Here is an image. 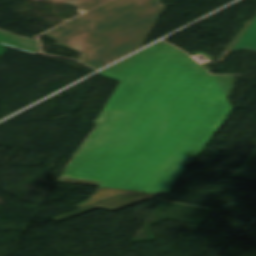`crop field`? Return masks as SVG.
<instances>
[{
	"instance_id": "5",
	"label": "crop field",
	"mask_w": 256,
	"mask_h": 256,
	"mask_svg": "<svg viewBox=\"0 0 256 256\" xmlns=\"http://www.w3.org/2000/svg\"><path fill=\"white\" fill-rule=\"evenodd\" d=\"M132 193H140V192H132V191H124V190H116V189H109V188H103L99 187L98 190L95 192V194L88 198L86 201L76 205V207H81L87 204H91L103 199H107L119 194H132Z\"/></svg>"
},
{
	"instance_id": "1",
	"label": "crop field",
	"mask_w": 256,
	"mask_h": 256,
	"mask_svg": "<svg viewBox=\"0 0 256 256\" xmlns=\"http://www.w3.org/2000/svg\"><path fill=\"white\" fill-rule=\"evenodd\" d=\"M98 74L121 83L61 182L170 192L233 110L229 76L163 41Z\"/></svg>"
},
{
	"instance_id": "2",
	"label": "crop field",
	"mask_w": 256,
	"mask_h": 256,
	"mask_svg": "<svg viewBox=\"0 0 256 256\" xmlns=\"http://www.w3.org/2000/svg\"><path fill=\"white\" fill-rule=\"evenodd\" d=\"M90 9L106 0H46ZM159 0H112L45 34L100 68L140 47L164 11Z\"/></svg>"
},
{
	"instance_id": "4",
	"label": "crop field",
	"mask_w": 256,
	"mask_h": 256,
	"mask_svg": "<svg viewBox=\"0 0 256 256\" xmlns=\"http://www.w3.org/2000/svg\"><path fill=\"white\" fill-rule=\"evenodd\" d=\"M240 50L256 51V18L232 48L230 53Z\"/></svg>"
},
{
	"instance_id": "3",
	"label": "crop field",
	"mask_w": 256,
	"mask_h": 256,
	"mask_svg": "<svg viewBox=\"0 0 256 256\" xmlns=\"http://www.w3.org/2000/svg\"><path fill=\"white\" fill-rule=\"evenodd\" d=\"M156 194H145V195H128V196H119V197H115L112 199H109L107 201L77 210V211H73L55 218H52L54 220L60 221L75 215H78L80 213L98 208V207H102L105 208L107 210L113 211V210H117L126 206H129L131 204L155 197Z\"/></svg>"
},
{
	"instance_id": "6",
	"label": "crop field",
	"mask_w": 256,
	"mask_h": 256,
	"mask_svg": "<svg viewBox=\"0 0 256 256\" xmlns=\"http://www.w3.org/2000/svg\"><path fill=\"white\" fill-rule=\"evenodd\" d=\"M5 47H6V46H4V45H0V55H1V53L3 52V50L5 49Z\"/></svg>"
}]
</instances>
